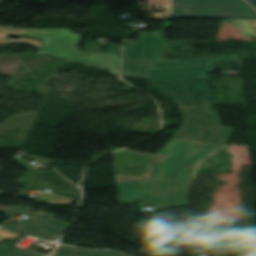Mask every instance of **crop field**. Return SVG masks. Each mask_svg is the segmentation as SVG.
Segmentation results:
<instances>
[{
	"label": "crop field",
	"instance_id": "4",
	"mask_svg": "<svg viewBox=\"0 0 256 256\" xmlns=\"http://www.w3.org/2000/svg\"><path fill=\"white\" fill-rule=\"evenodd\" d=\"M149 87V86H148ZM150 88L178 105L183 120L172 137L203 141L204 128L184 82L150 85Z\"/></svg>",
	"mask_w": 256,
	"mask_h": 256
},
{
	"label": "crop field",
	"instance_id": "11",
	"mask_svg": "<svg viewBox=\"0 0 256 256\" xmlns=\"http://www.w3.org/2000/svg\"><path fill=\"white\" fill-rule=\"evenodd\" d=\"M150 61L124 58L122 76L147 78Z\"/></svg>",
	"mask_w": 256,
	"mask_h": 256
},
{
	"label": "crop field",
	"instance_id": "7",
	"mask_svg": "<svg viewBox=\"0 0 256 256\" xmlns=\"http://www.w3.org/2000/svg\"><path fill=\"white\" fill-rule=\"evenodd\" d=\"M240 60L239 54L188 59H176L186 81L209 79L208 73L214 72L215 62Z\"/></svg>",
	"mask_w": 256,
	"mask_h": 256
},
{
	"label": "crop field",
	"instance_id": "9",
	"mask_svg": "<svg viewBox=\"0 0 256 256\" xmlns=\"http://www.w3.org/2000/svg\"><path fill=\"white\" fill-rule=\"evenodd\" d=\"M207 10L253 12L247 5L175 3L174 10Z\"/></svg>",
	"mask_w": 256,
	"mask_h": 256
},
{
	"label": "crop field",
	"instance_id": "3",
	"mask_svg": "<svg viewBox=\"0 0 256 256\" xmlns=\"http://www.w3.org/2000/svg\"><path fill=\"white\" fill-rule=\"evenodd\" d=\"M171 28V21H165V29ZM140 32L138 41L125 40L124 57L151 60L148 78L150 83L185 81L178 65L165 60V48L171 41L165 40L164 32Z\"/></svg>",
	"mask_w": 256,
	"mask_h": 256
},
{
	"label": "crop field",
	"instance_id": "21",
	"mask_svg": "<svg viewBox=\"0 0 256 256\" xmlns=\"http://www.w3.org/2000/svg\"><path fill=\"white\" fill-rule=\"evenodd\" d=\"M122 46L110 44L108 52L121 53Z\"/></svg>",
	"mask_w": 256,
	"mask_h": 256
},
{
	"label": "crop field",
	"instance_id": "10",
	"mask_svg": "<svg viewBox=\"0 0 256 256\" xmlns=\"http://www.w3.org/2000/svg\"><path fill=\"white\" fill-rule=\"evenodd\" d=\"M120 200H145L143 178L118 183Z\"/></svg>",
	"mask_w": 256,
	"mask_h": 256
},
{
	"label": "crop field",
	"instance_id": "24",
	"mask_svg": "<svg viewBox=\"0 0 256 256\" xmlns=\"http://www.w3.org/2000/svg\"><path fill=\"white\" fill-rule=\"evenodd\" d=\"M1 2V1H0Z\"/></svg>",
	"mask_w": 256,
	"mask_h": 256
},
{
	"label": "crop field",
	"instance_id": "15",
	"mask_svg": "<svg viewBox=\"0 0 256 256\" xmlns=\"http://www.w3.org/2000/svg\"><path fill=\"white\" fill-rule=\"evenodd\" d=\"M75 199H70L58 195L51 194L47 197H42L41 202L53 203V204H73Z\"/></svg>",
	"mask_w": 256,
	"mask_h": 256
},
{
	"label": "crop field",
	"instance_id": "17",
	"mask_svg": "<svg viewBox=\"0 0 256 256\" xmlns=\"http://www.w3.org/2000/svg\"><path fill=\"white\" fill-rule=\"evenodd\" d=\"M3 192H0L2 194ZM33 211L32 206H17V207H4L0 208L1 213H14V212H29Z\"/></svg>",
	"mask_w": 256,
	"mask_h": 256
},
{
	"label": "crop field",
	"instance_id": "8",
	"mask_svg": "<svg viewBox=\"0 0 256 256\" xmlns=\"http://www.w3.org/2000/svg\"><path fill=\"white\" fill-rule=\"evenodd\" d=\"M175 18H202V19H256L255 13L238 12H206V11H174ZM222 16L223 18H217Z\"/></svg>",
	"mask_w": 256,
	"mask_h": 256
},
{
	"label": "crop field",
	"instance_id": "16",
	"mask_svg": "<svg viewBox=\"0 0 256 256\" xmlns=\"http://www.w3.org/2000/svg\"><path fill=\"white\" fill-rule=\"evenodd\" d=\"M175 2L245 4L242 0H175Z\"/></svg>",
	"mask_w": 256,
	"mask_h": 256
},
{
	"label": "crop field",
	"instance_id": "20",
	"mask_svg": "<svg viewBox=\"0 0 256 256\" xmlns=\"http://www.w3.org/2000/svg\"><path fill=\"white\" fill-rule=\"evenodd\" d=\"M0 28H3V27H0ZM26 30H27V29L9 28L7 32H8V34L22 36V35L26 32Z\"/></svg>",
	"mask_w": 256,
	"mask_h": 256
},
{
	"label": "crop field",
	"instance_id": "23",
	"mask_svg": "<svg viewBox=\"0 0 256 256\" xmlns=\"http://www.w3.org/2000/svg\"><path fill=\"white\" fill-rule=\"evenodd\" d=\"M247 1L250 2L256 8V0H247Z\"/></svg>",
	"mask_w": 256,
	"mask_h": 256
},
{
	"label": "crop field",
	"instance_id": "2",
	"mask_svg": "<svg viewBox=\"0 0 256 256\" xmlns=\"http://www.w3.org/2000/svg\"><path fill=\"white\" fill-rule=\"evenodd\" d=\"M23 36L41 39L40 53L67 62L105 69L119 76L120 54L80 51L83 36L69 29H28Z\"/></svg>",
	"mask_w": 256,
	"mask_h": 256
},
{
	"label": "crop field",
	"instance_id": "12",
	"mask_svg": "<svg viewBox=\"0 0 256 256\" xmlns=\"http://www.w3.org/2000/svg\"><path fill=\"white\" fill-rule=\"evenodd\" d=\"M51 256H125L117 253L90 251L59 245Z\"/></svg>",
	"mask_w": 256,
	"mask_h": 256
},
{
	"label": "crop field",
	"instance_id": "14",
	"mask_svg": "<svg viewBox=\"0 0 256 256\" xmlns=\"http://www.w3.org/2000/svg\"><path fill=\"white\" fill-rule=\"evenodd\" d=\"M0 256H42L29 251H22L11 247L7 243L0 244Z\"/></svg>",
	"mask_w": 256,
	"mask_h": 256
},
{
	"label": "crop field",
	"instance_id": "1",
	"mask_svg": "<svg viewBox=\"0 0 256 256\" xmlns=\"http://www.w3.org/2000/svg\"><path fill=\"white\" fill-rule=\"evenodd\" d=\"M200 143L171 138L161 149L159 154L165 157L151 164L153 179L144 178L146 200L152 204L153 210L188 204L187 193L192 183L188 182V172L191 165L209 157L220 146L210 143L193 151L180 163L181 179L178 163Z\"/></svg>",
	"mask_w": 256,
	"mask_h": 256
},
{
	"label": "crop field",
	"instance_id": "6",
	"mask_svg": "<svg viewBox=\"0 0 256 256\" xmlns=\"http://www.w3.org/2000/svg\"><path fill=\"white\" fill-rule=\"evenodd\" d=\"M69 225L70 223L62 222L53 215L46 214L2 227V229L53 242Z\"/></svg>",
	"mask_w": 256,
	"mask_h": 256
},
{
	"label": "crop field",
	"instance_id": "13",
	"mask_svg": "<svg viewBox=\"0 0 256 256\" xmlns=\"http://www.w3.org/2000/svg\"><path fill=\"white\" fill-rule=\"evenodd\" d=\"M231 22L245 35L256 37V20H231Z\"/></svg>",
	"mask_w": 256,
	"mask_h": 256
},
{
	"label": "crop field",
	"instance_id": "18",
	"mask_svg": "<svg viewBox=\"0 0 256 256\" xmlns=\"http://www.w3.org/2000/svg\"><path fill=\"white\" fill-rule=\"evenodd\" d=\"M0 43H19V44L35 46V47L38 48V41L37 40H31V39H26V38H22L19 41H14V40H11V39H2Z\"/></svg>",
	"mask_w": 256,
	"mask_h": 256
},
{
	"label": "crop field",
	"instance_id": "22",
	"mask_svg": "<svg viewBox=\"0 0 256 256\" xmlns=\"http://www.w3.org/2000/svg\"><path fill=\"white\" fill-rule=\"evenodd\" d=\"M6 30L7 29H0V40H1V38H6Z\"/></svg>",
	"mask_w": 256,
	"mask_h": 256
},
{
	"label": "crop field",
	"instance_id": "5",
	"mask_svg": "<svg viewBox=\"0 0 256 256\" xmlns=\"http://www.w3.org/2000/svg\"><path fill=\"white\" fill-rule=\"evenodd\" d=\"M208 132L206 141L227 144L234 128L222 125L207 98L213 97L206 82L187 83Z\"/></svg>",
	"mask_w": 256,
	"mask_h": 256
},
{
	"label": "crop field",
	"instance_id": "19",
	"mask_svg": "<svg viewBox=\"0 0 256 256\" xmlns=\"http://www.w3.org/2000/svg\"><path fill=\"white\" fill-rule=\"evenodd\" d=\"M18 236H21V235L10 233V232L0 231V243L10 240L12 238L18 237Z\"/></svg>",
	"mask_w": 256,
	"mask_h": 256
}]
</instances>
